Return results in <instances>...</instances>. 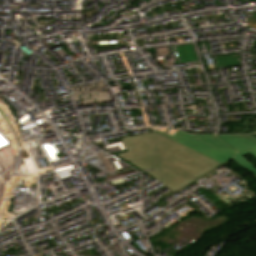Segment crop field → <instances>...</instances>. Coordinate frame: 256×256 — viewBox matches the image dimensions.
Listing matches in <instances>:
<instances>
[{"mask_svg":"<svg viewBox=\"0 0 256 256\" xmlns=\"http://www.w3.org/2000/svg\"><path fill=\"white\" fill-rule=\"evenodd\" d=\"M127 152L116 154L136 165L173 191L190 184L221 164L155 132L124 137Z\"/></svg>","mask_w":256,"mask_h":256,"instance_id":"1","label":"crop field"},{"mask_svg":"<svg viewBox=\"0 0 256 256\" xmlns=\"http://www.w3.org/2000/svg\"><path fill=\"white\" fill-rule=\"evenodd\" d=\"M155 132L170 137L222 164L233 158V160L247 168L256 176V168L249 161L218 140L214 135L192 136L172 129L166 134L158 131Z\"/></svg>","mask_w":256,"mask_h":256,"instance_id":"2","label":"crop field"},{"mask_svg":"<svg viewBox=\"0 0 256 256\" xmlns=\"http://www.w3.org/2000/svg\"><path fill=\"white\" fill-rule=\"evenodd\" d=\"M221 141L239 153L256 157V139L251 135H216Z\"/></svg>","mask_w":256,"mask_h":256,"instance_id":"3","label":"crop field"},{"mask_svg":"<svg viewBox=\"0 0 256 256\" xmlns=\"http://www.w3.org/2000/svg\"><path fill=\"white\" fill-rule=\"evenodd\" d=\"M247 25L256 28V20L252 22H248Z\"/></svg>","mask_w":256,"mask_h":256,"instance_id":"4","label":"crop field"}]
</instances>
